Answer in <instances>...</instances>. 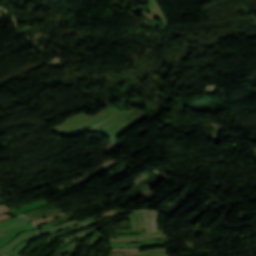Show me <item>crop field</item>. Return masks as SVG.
Returning a JSON list of instances; mask_svg holds the SVG:
<instances>
[{"instance_id":"412701ff","label":"crop field","mask_w":256,"mask_h":256,"mask_svg":"<svg viewBox=\"0 0 256 256\" xmlns=\"http://www.w3.org/2000/svg\"><path fill=\"white\" fill-rule=\"evenodd\" d=\"M112 252H137L136 249H115Z\"/></svg>"},{"instance_id":"ac0d7876","label":"crop field","mask_w":256,"mask_h":256,"mask_svg":"<svg viewBox=\"0 0 256 256\" xmlns=\"http://www.w3.org/2000/svg\"><path fill=\"white\" fill-rule=\"evenodd\" d=\"M150 213V232H157V212Z\"/></svg>"},{"instance_id":"8a807250","label":"crop field","mask_w":256,"mask_h":256,"mask_svg":"<svg viewBox=\"0 0 256 256\" xmlns=\"http://www.w3.org/2000/svg\"><path fill=\"white\" fill-rule=\"evenodd\" d=\"M119 112L120 111H118V110L112 109V110L102 114L101 116L93 119L92 121L88 122L87 124L88 125H93V124H95L97 122H100V121H103V120H105V119H107V118H109V117H111V116H113V115H115V114H117Z\"/></svg>"},{"instance_id":"f4fd0767","label":"crop field","mask_w":256,"mask_h":256,"mask_svg":"<svg viewBox=\"0 0 256 256\" xmlns=\"http://www.w3.org/2000/svg\"><path fill=\"white\" fill-rule=\"evenodd\" d=\"M62 215H65V214L57 215V216H54V217H58V216H62ZM54 217L47 218V219H43V220H38V221H36V222H33V224H36V223H39V222H43V221H47V220H50V219H52V218H54Z\"/></svg>"},{"instance_id":"dd49c442","label":"crop field","mask_w":256,"mask_h":256,"mask_svg":"<svg viewBox=\"0 0 256 256\" xmlns=\"http://www.w3.org/2000/svg\"><path fill=\"white\" fill-rule=\"evenodd\" d=\"M150 236H163V235H150ZM144 237H148V236H144ZM141 238V237H139ZM121 239H132V238H119V239H111V240H121Z\"/></svg>"},{"instance_id":"34b2d1b8","label":"crop field","mask_w":256,"mask_h":256,"mask_svg":"<svg viewBox=\"0 0 256 256\" xmlns=\"http://www.w3.org/2000/svg\"><path fill=\"white\" fill-rule=\"evenodd\" d=\"M90 220H92V219H86V220L80 221V222H78V223H76V224H73V225H71V226H68V227H66V228H63V229H61V230L68 229V228H70V227H72V226H75V225H78V224H84V223H86V222H88V221H90ZM61 230H57V231H61ZM57 231H52V232H57ZM52 232L41 233V234H39V235L47 234V233H52Z\"/></svg>"},{"instance_id":"e52e79f7","label":"crop field","mask_w":256,"mask_h":256,"mask_svg":"<svg viewBox=\"0 0 256 256\" xmlns=\"http://www.w3.org/2000/svg\"><path fill=\"white\" fill-rule=\"evenodd\" d=\"M8 208L6 207V206H4V205H2V206H0V212H3V211H5V210H7Z\"/></svg>"}]
</instances>
